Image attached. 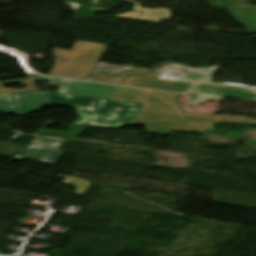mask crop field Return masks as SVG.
<instances>
[{"instance_id":"8a807250","label":"crop field","mask_w":256,"mask_h":256,"mask_svg":"<svg viewBox=\"0 0 256 256\" xmlns=\"http://www.w3.org/2000/svg\"><path fill=\"white\" fill-rule=\"evenodd\" d=\"M107 45L77 41L71 51L55 48L53 55L66 58L57 61L49 74L64 76L69 68L89 71L86 77L95 79L96 82L121 85L127 75L159 78L160 74L128 70L114 75L93 73L100 57ZM128 77V76H127Z\"/></svg>"},{"instance_id":"ac0d7876","label":"crop field","mask_w":256,"mask_h":256,"mask_svg":"<svg viewBox=\"0 0 256 256\" xmlns=\"http://www.w3.org/2000/svg\"><path fill=\"white\" fill-rule=\"evenodd\" d=\"M218 68L219 66H214L206 68L202 72L186 74L182 81L193 83L186 93L204 96L234 97L239 100L256 102L255 88L211 82Z\"/></svg>"},{"instance_id":"34b2d1b8","label":"crop field","mask_w":256,"mask_h":256,"mask_svg":"<svg viewBox=\"0 0 256 256\" xmlns=\"http://www.w3.org/2000/svg\"><path fill=\"white\" fill-rule=\"evenodd\" d=\"M179 97L178 94L148 90L140 101L141 104H144L141 111L183 117L213 118L215 122L256 124V120L238 116L185 114L181 105L175 104Z\"/></svg>"},{"instance_id":"412701ff","label":"crop field","mask_w":256,"mask_h":256,"mask_svg":"<svg viewBox=\"0 0 256 256\" xmlns=\"http://www.w3.org/2000/svg\"><path fill=\"white\" fill-rule=\"evenodd\" d=\"M141 106L99 99L87 125L111 128L134 125Z\"/></svg>"},{"instance_id":"f4fd0767","label":"crop field","mask_w":256,"mask_h":256,"mask_svg":"<svg viewBox=\"0 0 256 256\" xmlns=\"http://www.w3.org/2000/svg\"><path fill=\"white\" fill-rule=\"evenodd\" d=\"M135 125L147 126L148 134L167 136L169 131L204 132L213 129L211 120L184 119L152 114L139 113Z\"/></svg>"},{"instance_id":"dd49c442","label":"crop field","mask_w":256,"mask_h":256,"mask_svg":"<svg viewBox=\"0 0 256 256\" xmlns=\"http://www.w3.org/2000/svg\"><path fill=\"white\" fill-rule=\"evenodd\" d=\"M45 78L51 81V84L48 86H60L58 92L87 97L110 99L119 88L118 86L87 81L59 79L50 77Z\"/></svg>"},{"instance_id":"e52e79f7","label":"crop field","mask_w":256,"mask_h":256,"mask_svg":"<svg viewBox=\"0 0 256 256\" xmlns=\"http://www.w3.org/2000/svg\"><path fill=\"white\" fill-rule=\"evenodd\" d=\"M16 101V110H4L0 112H16L20 115L32 113L40 110L43 100L45 98V92L14 94ZM14 108L11 94L0 95V109Z\"/></svg>"},{"instance_id":"d8731c3e","label":"crop field","mask_w":256,"mask_h":256,"mask_svg":"<svg viewBox=\"0 0 256 256\" xmlns=\"http://www.w3.org/2000/svg\"><path fill=\"white\" fill-rule=\"evenodd\" d=\"M96 101L97 99L94 98L61 95L47 92L43 108L50 106H67L72 107L75 110L91 112Z\"/></svg>"},{"instance_id":"5a996713","label":"crop field","mask_w":256,"mask_h":256,"mask_svg":"<svg viewBox=\"0 0 256 256\" xmlns=\"http://www.w3.org/2000/svg\"><path fill=\"white\" fill-rule=\"evenodd\" d=\"M124 85L185 93L191 84L170 80L129 76Z\"/></svg>"},{"instance_id":"3316defc","label":"crop field","mask_w":256,"mask_h":256,"mask_svg":"<svg viewBox=\"0 0 256 256\" xmlns=\"http://www.w3.org/2000/svg\"><path fill=\"white\" fill-rule=\"evenodd\" d=\"M61 2H70L80 4L74 18L94 17L96 10L110 12L114 7L121 6V0H59Z\"/></svg>"},{"instance_id":"28ad6ade","label":"crop field","mask_w":256,"mask_h":256,"mask_svg":"<svg viewBox=\"0 0 256 256\" xmlns=\"http://www.w3.org/2000/svg\"><path fill=\"white\" fill-rule=\"evenodd\" d=\"M63 152L31 147L24 149L15 159H23L25 157L55 164Z\"/></svg>"},{"instance_id":"d1516ede","label":"crop field","mask_w":256,"mask_h":256,"mask_svg":"<svg viewBox=\"0 0 256 256\" xmlns=\"http://www.w3.org/2000/svg\"><path fill=\"white\" fill-rule=\"evenodd\" d=\"M135 3V7L133 10L145 12L140 19L159 22L160 19H168L170 17V11L167 9H149V8H141L139 2L134 0H126Z\"/></svg>"},{"instance_id":"22f410ed","label":"crop field","mask_w":256,"mask_h":256,"mask_svg":"<svg viewBox=\"0 0 256 256\" xmlns=\"http://www.w3.org/2000/svg\"><path fill=\"white\" fill-rule=\"evenodd\" d=\"M147 90L120 87L111 99L139 103Z\"/></svg>"},{"instance_id":"cbeb9de0","label":"crop field","mask_w":256,"mask_h":256,"mask_svg":"<svg viewBox=\"0 0 256 256\" xmlns=\"http://www.w3.org/2000/svg\"><path fill=\"white\" fill-rule=\"evenodd\" d=\"M63 141L62 138L38 136L34 137L29 145L58 150Z\"/></svg>"},{"instance_id":"5142ce71","label":"crop field","mask_w":256,"mask_h":256,"mask_svg":"<svg viewBox=\"0 0 256 256\" xmlns=\"http://www.w3.org/2000/svg\"><path fill=\"white\" fill-rule=\"evenodd\" d=\"M84 127L85 126L74 125L70 133L48 131V130H44V129H40L39 132L44 133V134L73 138V137L79 135L80 133H82Z\"/></svg>"},{"instance_id":"d9b57169","label":"crop field","mask_w":256,"mask_h":256,"mask_svg":"<svg viewBox=\"0 0 256 256\" xmlns=\"http://www.w3.org/2000/svg\"><path fill=\"white\" fill-rule=\"evenodd\" d=\"M18 75H27L28 78H27V80H15V81L2 82L3 85H11V84H21L23 86H25V85H35L34 82L41 81V79L37 75H31V74H18ZM18 75L5 76V77H1V78L4 79V78L18 76Z\"/></svg>"},{"instance_id":"733c2abd","label":"crop field","mask_w":256,"mask_h":256,"mask_svg":"<svg viewBox=\"0 0 256 256\" xmlns=\"http://www.w3.org/2000/svg\"><path fill=\"white\" fill-rule=\"evenodd\" d=\"M35 90H38L37 86H26V88L23 89V90H14L12 88L7 89L0 82V94L26 92V91H35Z\"/></svg>"},{"instance_id":"4a817a6b","label":"crop field","mask_w":256,"mask_h":256,"mask_svg":"<svg viewBox=\"0 0 256 256\" xmlns=\"http://www.w3.org/2000/svg\"><path fill=\"white\" fill-rule=\"evenodd\" d=\"M86 74H87V72H84V71L69 69L68 72L65 74V76L88 80L87 78H84ZM92 81H93V79H92Z\"/></svg>"},{"instance_id":"bc2a9ffb","label":"crop field","mask_w":256,"mask_h":256,"mask_svg":"<svg viewBox=\"0 0 256 256\" xmlns=\"http://www.w3.org/2000/svg\"><path fill=\"white\" fill-rule=\"evenodd\" d=\"M219 99H221V98L196 96L191 100V102L194 104H200L203 102L219 100Z\"/></svg>"},{"instance_id":"214f88e0","label":"crop field","mask_w":256,"mask_h":256,"mask_svg":"<svg viewBox=\"0 0 256 256\" xmlns=\"http://www.w3.org/2000/svg\"><path fill=\"white\" fill-rule=\"evenodd\" d=\"M91 114L79 113V120L75 124L86 125Z\"/></svg>"},{"instance_id":"92a150f3","label":"crop field","mask_w":256,"mask_h":256,"mask_svg":"<svg viewBox=\"0 0 256 256\" xmlns=\"http://www.w3.org/2000/svg\"><path fill=\"white\" fill-rule=\"evenodd\" d=\"M141 14L142 13H138V12H130V13L123 14V15L118 14L116 16L138 19Z\"/></svg>"}]
</instances>
